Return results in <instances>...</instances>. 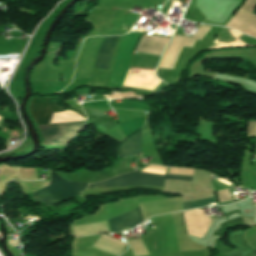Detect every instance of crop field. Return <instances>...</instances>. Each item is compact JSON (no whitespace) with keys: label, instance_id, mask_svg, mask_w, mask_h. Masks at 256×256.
Returning a JSON list of instances; mask_svg holds the SVG:
<instances>
[{"label":"crop field","instance_id":"crop-field-1","mask_svg":"<svg viewBox=\"0 0 256 256\" xmlns=\"http://www.w3.org/2000/svg\"><path fill=\"white\" fill-rule=\"evenodd\" d=\"M164 179L194 182L193 177L173 175L161 176L143 173L136 170L96 184H79L65 181L52 172L50 185L32 193V199L34 203L46 202V205H56L87 188L126 187L138 185L162 186Z\"/></svg>","mask_w":256,"mask_h":256},{"label":"crop field","instance_id":"crop-field-2","mask_svg":"<svg viewBox=\"0 0 256 256\" xmlns=\"http://www.w3.org/2000/svg\"><path fill=\"white\" fill-rule=\"evenodd\" d=\"M54 100L52 98L33 99L31 110L38 124L49 123L53 112L66 110L55 105ZM84 126L85 121L39 125L45 137V145L62 147H65L77 136Z\"/></svg>","mask_w":256,"mask_h":256},{"label":"crop field","instance_id":"crop-field-3","mask_svg":"<svg viewBox=\"0 0 256 256\" xmlns=\"http://www.w3.org/2000/svg\"><path fill=\"white\" fill-rule=\"evenodd\" d=\"M209 27L201 26L191 38L175 35L159 68L173 69L183 46L192 47L196 39L201 40L209 31Z\"/></svg>","mask_w":256,"mask_h":256},{"label":"crop field","instance_id":"crop-field-4","mask_svg":"<svg viewBox=\"0 0 256 256\" xmlns=\"http://www.w3.org/2000/svg\"><path fill=\"white\" fill-rule=\"evenodd\" d=\"M255 7L256 0H246L226 26L256 37V15L251 14Z\"/></svg>","mask_w":256,"mask_h":256},{"label":"crop field","instance_id":"crop-field-5","mask_svg":"<svg viewBox=\"0 0 256 256\" xmlns=\"http://www.w3.org/2000/svg\"><path fill=\"white\" fill-rule=\"evenodd\" d=\"M111 232L129 230L143 221L140 209H134L106 220Z\"/></svg>","mask_w":256,"mask_h":256},{"label":"crop field","instance_id":"crop-field-6","mask_svg":"<svg viewBox=\"0 0 256 256\" xmlns=\"http://www.w3.org/2000/svg\"><path fill=\"white\" fill-rule=\"evenodd\" d=\"M182 213L191 215V216H195V217H199V218H203V219H207V220H211L205 216L204 212L197 211V210L186 211V212H182ZM183 214H182V216H183V220L185 223H189V224L200 226V227L207 228V229H209V227L212 224L211 221H207V220H203V219H199V218H195V217H191V216H187V215H183ZM185 223H184L185 227H189V228L207 232V229H203V228L192 226V225L185 224ZM189 228H185L186 234H188V235L202 238L205 234V232H201V231H197V230H193V229H189Z\"/></svg>","mask_w":256,"mask_h":256},{"label":"crop field","instance_id":"crop-field-7","mask_svg":"<svg viewBox=\"0 0 256 256\" xmlns=\"http://www.w3.org/2000/svg\"><path fill=\"white\" fill-rule=\"evenodd\" d=\"M168 41V38L143 34L135 51L161 55Z\"/></svg>","mask_w":256,"mask_h":256},{"label":"crop field","instance_id":"crop-field-8","mask_svg":"<svg viewBox=\"0 0 256 256\" xmlns=\"http://www.w3.org/2000/svg\"><path fill=\"white\" fill-rule=\"evenodd\" d=\"M120 36L105 37L99 49L95 67L108 69Z\"/></svg>","mask_w":256,"mask_h":256},{"label":"crop field","instance_id":"crop-field-9","mask_svg":"<svg viewBox=\"0 0 256 256\" xmlns=\"http://www.w3.org/2000/svg\"><path fill=\"white\" fill-rule=\"evenodd\" d=\"M125 246L126 243L105 235H101L100 238L93 245V247L95 248L101 249L116 256L124 251Z\"/></svg>","mask_w":256,"mask_h":256},{"label":"crop field","instance_id":"crop-field-10","mask_svg":"<svg viewBox=\"0 0 256 256\" xmlns=\"http://www.w3.org/2000/svg\"><path fill=\"white\" fill-rule=\"evenodd\" d=\"M141 132L142 130L131 136V138L126 139L122 142L119 147V155L129 156V155H139V152H142L141 148Z\"/></svg>","mask_w":256,"mask_h":256},{"label":"crop field","instance_id":"crop-field-11","mask_svg":"<svg viewBox=\"0 0 256 256\" xmlns=\"http://www.w3.org/2000/svg\"><path fill=\"white\" fill-rule=\"evenodd\" d=\"M75 237L110 232L106 222L72 227Z\"/></svg>","mask_w":256,"mask_h":256},{"label":"crop field","instance_id":"crop-field-12","mask_svg":"<svg viewBox=\"0 0 256 256\" xmlns=\"http://www.w3.org/2000/svg\"><path fill=\"white\" fill-rule=\"evenodd\" d=\"M133 255H148L141 239L126 240Z\"/></svg>","mask_w":256,"mask_h":256},{"label":"crop field","instance_id":"crop-field-13","mask_svg":"<svg viewBox=\"0 0 256 256\" xmlns=\"http://www.w3.org/2000/svg\"><path fill=\"white\" fill-rule=\"evenodd\" d=\"M213 199L209 198V199L185 202V203H183V209L186 210V209H191V208H195V207L205 206V205H207V202H214L215 199H214V201H213Z\"/></svg>","mask_w":256,"mask_h":256},{"label":"crop field","instance_id":"crop-field-14","mask_svg":"<svg viewBox=\"0 0 256 256\" xmlns=\"http://www.w3.org/2000/svg\"><path fill=\"white\" fill-rule=\"evenodd\" d=\"M194 171L195 170L184 168H169L167 174L193 176Z\"/></svg>","mask_w":256,"mask_h":256},{"label":"crop field","instance_id":"crop-field-15","mask_svg":"<svg viewBox=\"0 0 256 256\" xmlns=\"http://www.w3.org/2000/svg\"><path fill=\"white\" fill-rule=\"evenodd\" d=\"M166 169L167 168H164V167L150 165L147 168L143 169L142 171L143 172H150V173H156V174H163V175H165Z\"/></svg>","mask_w":256,"mask_h":256},{"label":"crop field","instance_id":"crop-field-16","mask_svg":"<svg viewBox=\"0 0 256 256\" xmlns=\"http://www.w3.org/2000/svg\"><path fill=\"white\" fill-rule=\"evenodd\" d=\"M216 193L221 203L231 200L228 189L217 191Z\"/></svg>","mask_w":256,"mask_h":256},{"label":"crop field","instance_id":"crop-field-17","mask_svg":"<svg viewBox=\"0 0 256 256\" xmlns=\"http://www.w3.org/2000/svg\"><path fill=\"white\" fill-rule=\"evenodd\" d=\"M247 136H256V121H249Z\"/></svg>","mask_w":256,"mask_h":256},{"label":"crop field","instance_id":"crop-field-18","mask_svg":"<svg viewBox=\"0 0 256 256\" xmlns=\"http://www.w3.org/2000/svg\"><path fill=\"white\" fill-rule=\"evenodd\" d=\"M252 253V252H251ZM252 256H256V251H253Z\"/></svg>","mask_w":256,"mask_h":256},{"label":"crop field","instance_id":"crop-field-19","mask_svg":"<svg viewBox=\"0 0 256 256\" xmlns=\"http://www.w3.org/2000/svg\"><path fill=\"white\" fill-rule=\"evenodd\" d=\"M198 210H202L203 211V209L201 208V209H198Z\"/></svg>","mask_w":256,"mask_h":256},{"label":"crop field","instance_id":"crop-field-20","mask_svg":"<svg viewBox=\"0 0 256 256\" xmlns=\"http://www.w3.org/2000/svg\"><path fill=\"white\" fill-rule=\"evenodd\" d=\"M0 119H1V117H0Z\"/></svg>","mask_w":256,"mask_h":256}]
</instances>
